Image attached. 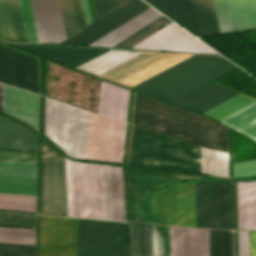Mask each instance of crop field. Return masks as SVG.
<instances>
[{"label":"crop field","instance_id":"1","mask_svg":"<svg viewBox=\"0 0 256 256\" xmlns=\"http://www.w3.org/2000/svg\"><path fill=\"white\" fill-rule=\"evenodd\" d=\"M66 216L125 221L122 168L63 157ZM62 155L43 141L40 214L65 216Z\"/></svg>","mask_w":256,"mask_h":256},{"label":"crop field","instance_id":"10","mask_svg":"<svg viewBox=\"0 0 256 256\" xmlns=\"http://www.w3.org/2000/svg\"><path fill=\"white\" fill-rule=\"evenodd\" d=\"M148 7L142 0H128L61 44L88 46Z\"/></svg>","mask_w":256,"mask_h":256},{"label":"crop field","instance_id":"24","mask_svg":"<svg viewBox=\"0 0 256 256\" xmlns=\"http://www.w3.org/2000/svg\"><path fill=\"white\" fill-rule=\"evenodd\" d=\"M160 15L150 7L90 46L111 47Z\"/></svg>","mask_w":256,"mask_h":256},{"label":"crop field","instance_id":"44","mask_svg":"<svg viewBox=\"0 0 256 256\" xmlns=\"http://www.w3.org/2000/svg\"><path fill=\"white\" fill-rule=\"evenodd\" d=\"M38 154L0 151V162L37 165Z\"/></svg>","mask_w":256,"mask_h":256},{"label":"crop field","instance_id":"33","mask_svg":"<svg viewBox=\"0 0 256 256\" xmlns=\"http://www.w3.org/2000/svg\"><path fill=\"white\" fill-rule=\"evenodd\" d=\"M170 256H192V228L170 226Z\"/></svg>","mask_w":256,"mask_h":256},{"label":"crop field","instance_id":"37","mask_svg":"<svg viewBox=\"0 0 256 256\" xmlns=\"http://www.w3.org/2000/svg\"><path fill=\"white\" fill-rule=\"evenodd\" d=\"M170 23L172 22L162 15L159 18L152 21L151 23H149L148 25L138 30L137 32L133 33L129 37L125 38L118 44L114 45L113 47L130 48L135 44L141 42L142 40L146 39L147 37L151 36L152 34L156 33L157 31L164 28Z\"/></svg>","mask_w":256,"mask_h":256},{"label":"crop field","instance_id":"28","mask_svg":"<svg viewBox=\"0 0 256 256\" xmlns=\"http://www.w3.org/2000/svg\"><path fill=\"white\" fill-rule=\"evenodd\" d=\"M140 53L142 52L110 50L76 68L98 76Z\"/></svg>","mask_w":256,"mask_h":256},{"label":"crop field","instance_id":"40","mask_svg":"<svg viewBox=\"0 0 256 256\" xmlns=\"http://www.w3.org/2000/svg\"><path fill=\"white\" fill-rule=\"evenodd\" d=\"M35 230L0 227V242L34 245Z\"/></svg>","mask_w":256,"mask_h":256},{"label":"crop field","instance_id":"47","mask_svg":"<svg viewBox=\"0 0 256 256\" xmlns=\"http://www.w3.org/2000/svg\"><path fill=\"white\" fill-rule=\"evenodd\" d=\"M0 223L35 225V216L0 213Z\"/></svg>","mask_w":256,"mask_h":256},{"label":"crop field","instance_id":"43","mask_svg":"<svg viewBox=\"0 0 256 256\" xmlns=\"http://www.w3.org/2000/svg\"><path fill=\"white\" fill-rule=\"evenodd\" d=\"M66 36L69 37L77 31L70 0H58Z\"/></svg>","mask_w":256,"mask_h":256},{"label":"crop field","instance_id":"12","mask_svg":"<svg viewBox=\"0 0 256 256\" xmlns=\"http://www.w3.org/2000/svg\"><path fill=\"white\" fill-rule=\"evenodd\" d=\"M128 187H129V205L130 221L144 222L139 207L142 199L154 188L168 181H181L200 176H191L174 173H162L140 169L127 168Z\"/></svg>","mask_w":256,"mask_h":256},{"label":"crop field","instance_id":"6","mask_svg":"<svg viewBox=\"0 0 256 256\" xmlns=\"http://www.w3.org/2000/svg\"><path fill=\"white\" fill-rule=\"evenodd\" d=\"M54 63L45 60L44 95L53 99ZM101 81L55 63L54 99L97 113Z\"/></svg>","mask_w":256,"mask_h":256},{"label":"crop field","instance_id":"36","mask_svg":"<svg viewBox=\"0 0 256 256\" xmlns=\"http://www.w3.org/2000/svg\"><path fill=\"white\" fill-rule=\"evenodd\" d=\"M254 102L256 100L239 94L203 114L222 120Z\"/></svg>","mask_w":256,"mask_h":256},{"label":"crop field","instance_id":"27","mask_svg":"<svg viewBox=\"0 0 256 256\" xmlns=\"http://www.w3.org/2000/svg\"><path fill=\"white\" fill-rule=\"evenodd\" d=\"M177 225L195 227V184L176 185Z\"/></svg>","mask_w":256,"mask_h":256},{"label":"crop field","instance_id":"5","mask_svg":"<svg viewBox=\"0 0 256 256\" xmlns=\"http://www.w3.org/2000/svg\"><path fill=\"white\" fill-rule=\"evenodd\" d=\"M76 219L41 216L40 256H75ZM92 220L77 219L76 256H91Z\"/></svg>","mask_w":256,"mask_h":256},{"label":"crop field","instance_id":"20","mask_svg":"<svg viewBox=\"0 0 256 256\" xmlns=\"http://www.w3.org/2000/svg\"><path fill=\"white\" fill-rule=\"evenodd\" d=\"M11 44L35 52L37 54L43 55L45 57L72 65L74 67L107 51L103 49L58 47L14 43Z\"/></svg>","mask_w":256,"mask_h":256},{"label":"crop field","instance_id":"3","mask_svg":"<svg viewBox=\"0 0 256 256\" xmlns=\"http://www.w3.org/2000/svg\"><path fill=\"white\" fill-rule=\"evenodd\" d=\"M128 164L201 172L200 148L133 126Z\"/></svg>","mask_w":256,"mask_h":256},{"label":"crop field","instance_id":"21","mask_svg":"<svg viewBox=\"0 0 256 256\" xmlns=\"http://www.w3.org/2000/svg\"><path fill=\"white\" fill-rule=\"evenodd\" d=\"M0 40L28 42L18 0H0Z\"/></svg>","mask_w":256,"mask_h":256},{"label":"crop field","instance_id":"18","mask_svg":"<svg viewBox=\"0 0 256 256\" xmlns=\"http://www.w3.org/2000/svg\"><path fill=\"white\" fill-rule=\"evenodd\" d=\"M0 149L38 152V136L25 126L0 116Z\"/></svg>","mask_w":256,"mask_h":256},{"label":"crop field","instance_id":"42","mask_svg":"<svg viewBox=\"0 0 256 256\" xmlns=\"http://www.w3.org/2000/svg\"><path fill=\"white\" fill-rule=\"evenodd\" d=\"M29 42L39 43L29 0H19Z\"/></svg>","mask_w":256,"mask_h":256},{"label":"crop field","instance_id":"23","mask_svg":"<svg viewBox=\"0 0 256 256\" xmlns=\"http://www.w3.org/2000/svg\"><path fill=\"white\" fill-rule=\"evenodd\" d=\"M238 230L256 229V181L237 182Z\"/></svg>","mask_w":256,"mask_h":256},{"label":"crop field","instance_id":"54","mask_svg":"<svg viewBox=\"0 0 256 256\" xmlns=\"http://www.w3.org/2000/svg\"><path fill=\"white\" fill-rule=\"evenodd\" d=\"M0 111L2 112V84H0Z\"/></svg>","mask_w":256,"mask_h":256},{"label":"crop field","instance_id":"35","mask_svg":"<svg viewBox=\"0 0 256 256\" xmlns=\"http://www.w3.org/2000/svg\"><path fill=\"white\" fill-rule=\"evenodd\" d=\"M255 120H256V103L221 122L231 126L232 128L238 130L239 132L245 134L246 136L256 141V122L242 130L240 129L241 127Z\"/></svg>","mask_w":256,"mask_h":256},{"label":"crop field","instance_id":"49","mask_svg":"<svg viewBox=\"0 0 256 256\" xmlns=\"http://www.w3.org/2000/svg\"><path fill=\"white\" fill-rule=\"evenodd\" d=\"M238 256H248V232L238 231Z\"/></svg>","mask_w":256,"mask_h":256},{"label":"crop field","instance_id":"11","mask_svg":"<svg viewBox=\"0 0 256 256\" xmlns=\"http://www.w3.org/2000/svg\"><path fill=\"white\" fill-rule=\"evenodd\" d=\"M0 82L38 94L37 59L0 46Z\"/></svg>","mask_w":256,"mask_h":256},{"label":"crop field","instance_id":"53","mask_svg":"<svg viewBox=\"0 0 256 256\" xmlns=\"http://www.w3.org/2000/svg\"><path fill=\"white\" fill-rule=\"evenodd\" d=\"M81 2H82V6H83L86 23L89 24L90 22H92V19H91L89 7H88V2H87V0H81Z\"/></svg>","mask_w":256,"mask_h":256},{"label":"crop field","instance_id":"48","mask_svg":"<svg viewBox=\"0 0 256 256\" xmlns=\"http://www.w3.org/2000/svg\"><path fill=\"white\" fill-rule=\"evenodd\" d=\"M71 3H72V7H73V12H74L77 28L80 29V28L86 26L82 7H81V2H80V0H71Z\"/></svg>","mask_w":256,"mask_h":256},{"label":"crop field","instance_id":"25","mask_svg":"<svg viewBox=\"0 0 256 256\" xmlns=\"http://www.w3.org/2000/svg\"><path fill=\"white\" fill-rule=\"evenodd\" d=\"M163 12L198 34L190 0H147ZM199 35V34H198Z\"/></svg>","mask_w":256,"mask_h":256},{"label":"crop field","instance_id":"32","mask_svg":"<svg viewBox=\"0 0 256 256\" xmlns=\"http://www.w3.org/2000/svg\"><path fill=\"white\" fill-rule=\"evenodd\" d=\"M237 94L238 93L234 91L220 86L202 95L201 97L183 105L182 107L202 113Z\"/></svg>","mask_w":256,"mask_h":256},{"label":"crop field","instance_id":"14","mask_svg":"<svg viewBox=\"0 0 256 256\" xmlns=\"http://www.w3.org/2000/svg\"><path fill=\"white\" fill-rule=\"evenodd\" d=\"M221 34L256 29V0H213Z\"/></svg>","mask_w":256,"mask_h":256},{"label":"crop field","instance_id":"31","mask_svg":"<svg viewBox=\"0 0 256 256\" xmlns=\"http://www.w3.org/2000/svg\"><path fill=\"white\" fill-rule=\"evenodd\" d=\"M133 256H155L152 225L131 223Z\"/></svg>","mask_w":256,"mask_h":256},{"label":"crop field","instance_id":"15","mask_svg":"<svg viewBox=\"0 0 256 256\" xmlns=\"http://www.w3.org/2000/svg\"><path fill=\"white\" fill-rule=\"evenodd\" d=\"M92 256H127L125 223L93 220Z\"/></svg>","mask_w":256,"mask_h":256},{"label":"crop field","instance_id":"51","mask_svg":"<svg viewBox=\"0 0 256 256\" xmlns=\"http://www.w3.org/2000/svg\"><path fill=\"white\" fill-rule=\"evenodd\" d=\"M249 256H256V232H249Z\"/></svg>","mask_w":256,"mask_h":256},{"label":"crop field","instance_id":"2","mask_svg":"<svg viewBox=\"0 0 256 256\" xmlns=\"http://www.w3.org/2000/svg\"><path fill=\"white\" fill-rule=\"evenodd\" d=\"M133 124L196 145L226 151V127L138 93Z\"/></svg>","mask_w":256,"mask_h":256},{"label":"crop field","instance_id":"39","mask_svg":"<svg viewBox=\"0 0 256 256\" xmlns=\"http://www.w3.org/2000/svg\"><path fill=\"white\" fill-rule=\"evenodd\" d=\"M210 256H232V231L210 230Z\"/></svg>","mask_w":256,"mask_h":256},{"label":"crop field","instance_id":"9","mask_svg":"<svg viewBox=\"0 0 256 256\" xmlns=\"http://www.w3.org/2000/svg\"><path fill=\"white\" fill-rule=\"evenodd\" d=\"M125 128L91 112L85 159L121 164Z\"/></svg>","mask_w":256,"mask_h":256},{"label":"crop field","instance_id":"34","mask_svg":"<svg viewBox=\"0 0 256 256\" xmlns=\"http://www.w3.org/2000/svg\"><path fill=\"white\" fill-rule=\"evenodd\" d=\"M37 178L0 175V192L36 195Z\"/></svg>","mask_w":256,"mask_h":256},{"label":"crop field","instance_id":"52","mask_svg":"<svg viewBox=\"0 0 256 256\" xmlns=\"http://www.w3.org/2000/svg\"><path fill=\"white\" fill-rule=\"evenodd\" d=\"M88 2H89L92 19L95 20L96 18H98V15H99V17L101 16L97 0H96V5H97V10H98V15H97V10H96L95 0H88Z\"/></svg>","mask_w":256,"mask_h":256},{"label":"crop field","instance_id":"19","mask_svg":"<svg viewBox=\"0 0 256 256\" xmlns=\"http://www.w3.org/2000/svg\"><path fill=\"white\" fill-rule=\"evenodd\" d=\"M220 57L195 55L134 89L152 93Z\"/></svg>","mask_w":256,"mask_h":256},{"label":"crop field","instance_id":"7","mask_svg":"<svg viewBox=\"0 0 256 256\" xmlns=\"http://www.w3.org/2000/svg\"><path fill=\"white\" fill-rule=\"evenodd\" d=\"M196 227L232 229V181L196 184Z\"/></svg>","mask_w":256,"mask_h":256},{"label":"crop field","instance_id":"4","mask_svg":"<svg viewBox=\"0 0 256 256\" xmlns=\"http://www.w3.org/2000/svg\"><path fill=\"white\" fill-rule=\"evenodd\" d=\"M90 112L46 98L45 136L64 153L84 159Z\"/></svg>","mask_w":256,"mask_h":256},{"label":"crop field","instance_id":"17","mask_svg":"<svg viewBox=\"0 0 256 256\" xmlns=\"http://www.w3.org/2000/svg\"><path fill=\"white\" fill-rule=\"evenodd\" d=\"M3 112L38 131L39 96L3 84Z\"/></svg>","mask_w":256,"mask_h":256},{"label":"crop field","instance_id":"26","mask_svg":"<svg viewBox=\"0 0 256 256\" xmlns=\"http://www.w3.org/2000/svg\"><path fill=\"white\" fill-rule=\"evenodd\" d=\"M151 207L159 224L176 225L175 185L160 190L153 197Z\"/></svg>","mask_w":256,"mask_h":256},{"label":"crop field","instance_id":"45","mask_svg":"<svg viewBox=\"0 0 256 256\" xmlns=\"http://www.w3.org/2000/svg\"><path fill=\"white\" fill-rule=\"evenodd\" d=\"M0 174L37 177V166L0 163Z\"/></svg>","mask_w":256,"mask_h":256},{"label":"crop field","instance_id":"8","mask_svg":"<svg viewBox=\"0 0 256 256\" xmlns=\"http://www.w3.org/2000/svg\"><path fill=\"white\" fill-rule=\"evenodd\" d=\"M236 68L238 67L222 57L151 95L181 106L218 87L212 81Z\"/></svg>","mask_w":256,"mask_h":256},{"label":"crop field","instance_id":"13","mask_svg":"<svg viewBox=\"0 0 256 256\" xmlns=\"http://www.w3.org/2000/svg\"><path fill=\"white\" fill-rule=\"evenodd\" d=\"M132 49L218 54L174 23Z\"/></svg>","mask_w":256,"mask_h":256},{"label":"crop field","instance_id":"30","mask_svg":"<svg viewBox=\"0 0 256 256\" xmlns=\"http://www.w3.org/2000/svg\"><path fill=\"white\" fill-rule=\"evenodd\" d=\"M202 172L229 177V153L201 148Z\"/></svg>","mask_w":256,"mask_h":256},{"label":"crop field","instance_id":"50","mask_svg":"<svg viewBox=\"0 0 256 256\" xmlns=\"http://www.w3.org/2000/svg\"><path fill=\"white\" fill-rule=\"evenodd\" d=\"M124 1L126 0H98L101 14L104 15Z\"/></svg>","mask_w":256,"mask_h":256},{"label":"crop field","instance_id":"41","mask_svg":"<svg viewBox=\"0 0 256 256\" xmlns=\"http://www.w3.org/2000/svg\"><path fill=\"white\" fill-rule=\"evenodd\" d=\"M193 256H209V230L193 228Z\"/></svg>","mask_w":256,"mask_h":256},{"label":"crop field","instance_id":"16","mask_svg":"<svg viewBox=\"0 0 256 256\" xmlns=\"http://www.w3.org/2000/svg\"><path fill=\"white\" fill-rule=\"evenodd\" d=\"M40 43L66 39L57 0H30Z\"/></svg>","mask_w":256,"mask_h":256},{"label":"crop field","instance_id":"46","mask_svg":"<svg viewBox=\"0 0 256 256\" xmlns=\"http://www.w3.org/2000/svg\"><path fill=\"white\" fill-rule=\"evenodd\" d=\"M0 256H34V246L0 243Z\"/></svg>","mask_w":256,"mask_h":256},{"label":"crop field","instance_id":"22","mask_svg":"<svg viewBox=\"0 0 256 256\" xmlns=\"http://www.w3.org/2000/svg\"><path fill=\"white\" fill-rule=\"evenodd\" d=\"M130 91L102 81L98 113L126 122Z\"/></svg>","mask_w":256,"mask_h":256},{"label":"crop field","instance_id":"38","mask_svg":"<svg viewBox=\"0 0 256 256\" xmlns=\"http://www.w3.org/2000/svg\"><path fill=\"white\" fill-rule=\"evenodd\" d=\"M36 196L0 193V210L35 212Z\"/></svg>","mask_w":256,"mask_h":256},{"label":"crop field","instance_id":"29","mask_svg":"<svg viewBox=\"0 0 256 256\" xmlns=\"http://www.w3.org/2000/svg\"><path fill=\"white\" fill-rule=\"evenodd\" d=\"M200 36L220 34L212 0H191Z\"/></svg>","mask_w":256,"mask_h":256}]
</instances>
